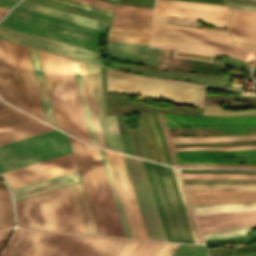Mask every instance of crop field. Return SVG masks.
Returning <instances> with one entry per match:
<instances>
[{
    "label": "crop field",
    "mask_w": 256,
    "mask_h": 256,
    "mask_svg": "<svg viewBox=\"0 0 256 256\" xmlns=\"http://www.w3.org/2000/svg\"><path fill=\"white\" fill-rule=\"evenodd\" d=\"M192 207H193L195 216L256 211V203L204 205V206H192Z\"/></svg>",
    "instance_id": "ae1a2a85"
},
{
    "label": "crop field",
    "mask_w": 256,
    "mask_h": 256,
    "mask_svg": "<svg viewBox=\"0 0 256 256\" xmlns=\"http://www.w3.org/2000/svg\"><path fill=\"white\" fill-rule=\"evenodd\" d=\"M17 7L25 8V9H28V10L36 11V12H39V13L47 14V15H50V16L58 17V18H62V19H65V20L73 21V22H76V23L84 24V25H87V26L95 27V28H98V29L106 30V31H107L108 26H109L108 23L93 20V19H90V18L75 15V14H72V13H68V12H65V11L50 8V7H47V6H43V5H40V4L25 1V0H23L21 3H19L17 5Z\"/></svg>",
    "instance_id": "00972430"
},
{
    "label": "crop field",
    "mask_w": 256,
    "mask_h": 256,
    "mask_svg": "<svg viewBox=\"0 0 256 256\" xmlns=\"http://www.w3.org/2000/svg\"><path fill=\"white\" fill-rule=\"evenodd\" d=\"M193 1H202V2H212V3L224 4L223 0H193Z\"/></svg>",
    "instance_id": "fb207236"
},
{
    "label": "crop field",
    "mask_w": 256,
    "mask_h": 256,
    "mask_svg": "<svg viewBox=\"0 0 256 256\" xmlns=\"http://www.w3.org/2000/svg\"><path fill=\"white\" fill-rule=\"evenodd\" d=\"M111 239L17 228L3 256H99Z\"/></svg>",
    "instance_id": "412701ff"
},
{
    "label": "crop field",
    "mask_w": 256,
    "mask_h": 256,
    "mask_svg": "<svg viewBox=\"0 0 256 256\" xmlns=\"http://www.w3.org/2000/svg\"><path fill=\"white\" fill-rule=\"evenodd\" d=\"M172 169H173V172H174V175H175V179H176V182H177L180 194H181V198H182V201H183L186 213H187V217H188V220H189L192 232H193V236H194L195 242L196 243H202V241H201V239H200V237H199V235L197 233V230H196V227H195L196 223L194 224L195 220L193 221V217H192V214H191V211H190V208H189V205H188V202H187L184 190H183L184 186L182 187V183H181L178 171H177V169H174V168H172Z\"/></svg>",
    "instance_id": "e1f06a70"
},
{
    "label": "crop field",
    "mask_w": 256,
    "mask_h": 256,
    "mask_svg": "<svg viewBox=\"0 0 256 256\" xmlns=\"http://www.w3.org/2000/svg\"><path fill=\"white\" fill-rule=\"evenodd\" d=\"M203 149H217V150H246V149H256V145L241 146V147H232V148L187 147V148H178V149H175V151H182V150H203Z\"/></svg>",
    "instance_id": "9d1cf04e"
},
{
    "label": "crop field",
    "mask_w": 256,
    "mask_h": 256,
    "mask_svg": "<svg viewBox=\"0 0 256 256\" xmlns=\"http://www.w3.org/2000/svg\"><path fill=\"white\" fill-rule=\"evenodd\" d=\"M112 22L148 26V27H151V24H152V20H149V19L118 16V15H114Z\"/></svg>",
    "instance_id": "73cf0c24"
},
{
    "label": "crop field",
    "mask_w": 256,
    "mask_h": 256,
    "mask_svg": "<svg viewBox=\"0 0 256 256\" xmlns=\"http://www.w3.org/2000/svg\"><path fill=\"white\" fill-rule=\"evenodd\" d=\"M192 63L201 64V65H208V66H214V67H217V65H218V64H215V63L202 62V61H196V60H193ZM195 64H192L191 66L198 67V68H203V69L214 70V71H219V72L222 71V69H220V68L207 67V66H201V65H195ZM193 67L190 68L191 71H195V72H199V73H204V74L217 75V76H220V74H221L219 72L203 70V69H198V68H193Z\"/></svg>",
    "instance_id": "89e229c0"
},
{
    "label": "crop field",
    "mask_w": 256,
    "mask_h": 256,
    "mask_svg": "<svg viewBox=\"0 0 256 256\" xmlns=\"http://www.w3.org/2000/svg\"><path fill=\"white\" fill-rule=\"evenodd\" d=\"M0 6L11 8L10 5L0 4Z\"/></svg>",
    "instance_id": "c821d689"
},
{
    "label": "crop field",
    "mask_w": 256,
    "mask_h": 256,
    "mask_svg": "<svg viewBox=\"0 0 256 256\" xmlns=\"http://www.w3.org/2000/svg\"><path fill=\"white\" fill-rule=\"evenodd\" d=\"M79 1L87 2V3H90V4L102 6V7L113 9V10L115 8L114 5H110V4L103 3V2H100V1H96V0H79Z\"/></svg>",
    "instance_id": "e1d0b9f6"
},
{
    "label": "crop field",
    "mask_w": 256,
    "mask_h": 256,
    "mask_svg": "<svg viewBox=\"0 0 256 256\" xmlns=\"http://www.w3.org/2000/svg\"><path fill=\"white\" fill-rule=\"evenodd\" d=\"M155 7L169 8V9H178V10H188V11H197V12H207V13H216V14H226V15H230L231 14V12H226V11H217V10L190 8V7H180V6H170V5H160V4H156Z\"/></svg>",
    "instance_id": "dbb93151"
},
{
    "label": "crop field",
    "mask_w": 256,
    "mask_h": 256,
    "mask_svg": "<svg viewBox=\"0 0 256 256\" xmlns=\"http://www.w3.org/2000/svg\"><path fill=\"white\" fill-rule=\"evenodd\" d=\"M123 156V155H122ZM150 239L167 241L142 161L123 156Z\"/></svg>",
    "instance_id": "28ad6ade"
},
{
    "label": "crop field",
    "mask_w": 256,
    "mask_h": 256,
    "mask_svg": "<svg viewBox=\"0 0 256 256\" xmlns=\"http://www.w3.org/2000/svg\"><path fill=\"white\" fill-rule=\"evenodd\" d=\"M71 64L91 142L123 151L115 117L105 116L99 67L75 60Z\"/></svg>",
    "instance_id": "dd49c442"
},
{
    "label": "crop field",
    "mask_w": 256,
    "mask_h": 256,
    "mask_svg": "<svg viewBox=\"0 0 256 256\" xmlns=\"http://www.w3.org/2000/svg\"><path fill=\"white\" fill-rule=\"evenodd\" d=\"M167 127H249L256 126V116L210 117L163 114Z\"/></svg>",
    "instance_id": "d9b57169"
},
{
    "label": "crop field",
    "mask_w": 256,
    "mask_h": 256,
    "mask_svg": "<svg viewBox=\"0 0 256 256\" xmlns=\"http://www.w3.org/2000/svg\"><path fill=\"white\" fill-rule=\"evenodd\" d=\"M99 152H100V155H101V158H102V161H103V165H104V168H105V171H106V174H107V177H108V180H109L112 192H113V196H114V199H115V202H116V205H117V208H118L121 220H122V224H123L126 236L127 237H131L130 233H129V230H128V227H127V224H126V221H125V218H124V215H123V212H122V209H121V206H120V203H119V200H118V197H117V194H116V190H115V187H114V184H113V181H112V178H111V175H110V172H109V169H108V166H107V163H106V160H105V157H104L102 149H99Z\"/></svg>",
    "instance_id": "b80d0937"
},
{
    "label": "crop field",
    "mask_w": 256,
    "mask_h": 256,
    "mask_svg": "<svg viewBox=\"0 0 256 256\" xmlns=\"http://www.w3.org/2000/svg\"><path fill=\"white\" fill-rule=\"evenodd\" d=\"M17 0H0V3L13 5Z\"/></svg>",
    "instance_id": "7312dd0a"
},
{
    "label": "crop field",
    "mask_w": 256,
    "mask_h": 256,
    "mask_svg": "<svg viewBox=\"0 0 256 256\" xmlns=\"http://www.w3.org/2000/svg\"><path fill=\"white\" fill-rule=\"evenodd\" d=\"M38 52L57 126L90 142L69 59Z\"/></svg>",
    "instance_id": "ac0d7876"
},
{
    "label": "crop field",
    "mask_w": 256,
    "mask_h": 256,
    "mask_svg": "<svg viewBox=\"0 0 256 256\" xmlns=\"http://www.w3.org/2000/svg\"><path fill=\"white\" fill-rule=\"evenodd\" d=\"M30 119L33 118L8 105L2 104L0 101V128L7 127Z\"/></svg>",
    "instance_id": "1d83c4d3"
},
{
    "label": "crop field",
    "mask_w": 256,
    "mask_h": 256,
    "mask_svg": "<svg viewBox=\"0 0 256 256\" xmlns=\"http://www.w3.org/2000/svg\"><path fill=\"white\" fill-rule=\"evenodd\" d=\"M155 16H174V17L202 19L215 26L224 27V28L227 27L228 20L230 17L226 15H216V14L197 13V12L178 11V10L159 9V8H155L154 17ZM183 20H190V19H183ZM192 21H196V20H192Z\"/></svg>",
    "instance_id": "eef30255"
},
{
    "label": "crop field",
    "mask_w": 256,
    "mask_h": 256,
    "mask_svg": "<svg viewBox=\"0 0 256 256\" xmlns=\"http://www.w3.org/2000/svg\"><path fill=\"white\" fill-rule=\"evenodd\" d=\"M151 28L111 24L112 41L149 44Z\"/></svg>",
    "instance_id": "4177f3b9"
},
{
    "label": "crop field",
    "mask_w": 256,
    "mask_h": 256,
    "mask_svg": "<svg viewBox=\"0 0 256 256\" xmlns=\"http://www.w3.org/2000/svg\"><path fill=\"white\" fill-rule=\"evenodd\" d=\"M228 30L234 42L256 44V29L229 27Z\"/></svg>",
    "instance_id": "5866460e"
},
{
    "label": "crop field",
    "mask_w": 256,
    "mask_h": 256,
    "mask_svg": "<svg viewBox=\"0 0 256 256\" xmlns=\"http://www.w3.org/2000/svg\"><path fill=\"white\" fill-rule=\"evenodd\" d=\"M140 114H141V113H140ZM142 114H143V117H144V120H145L147 129H148V133H149V136H150V139H151V143H152V147H153L155 159L158 160V159H157V155H156V151H155V147H154V142H153L152 134H151V132H150V130H149V127H148V124H147V120H146L145 114H144V113H142ZM142 114H141V118H142L143 125H144L145 131H146V134H147V137H148V140H149V136H148V133H147V129H146V126H145V123H144ZM149 144H150V140H149ZM150 148H151V144H150ZM151 151H152V148H151ZM152 154H153V152H152ZM153 159H154V156H153ZM155 159H154V160H155Z\"/></svg>",
    "instance_id": "db79e9e6"
},
{
    "label": "crop field",
    "mask_w": 256,
    "mask_h": 256,
    "mask_svg": "<svg viewBox=\"0 0 256 256\" xmlns=\"http://www.w3.org/2000/svg\"><path fill=\"white\" fill-rule=\"evenodd\" d=\"M255 249H256V246L242 247V248L236 249L234 253H237V252H244V251H250V250H255Z\"/></svg>",
    "instance_id": "c39391a2"
},
{
    "label": "crop field",
    "mask_w": 256,
    "mask_h": 256,
    "mask_svg": "<svg viewBox=\"0 0 256 256\" xmlns=\"http://www.w3.org/2000/svg\"><path fill=\"white\" fill-rule=\"evenodd\" d=\"M177 161H199V162H256V158L235 159L223 158L222 156H256V150L246 151H216V150H203V151H183L176 152Z\"/></svg>",
    "instance_id": "bc2a9ffb"
},
{
    "label": "crop field",
    "mask_w": 256,
    "mask_h": 256,
    "mask_svg": "<svg viewBox=\"0 0 256 256\" xmlns=\"http://www.w3.org/2000/svg\"><path fill=\"white\" fill-rule=\"evenodd\" d=\"M232 13H237V14H246V15H254L256 16V12H252V11H243V10H234L231 9Z\"/></svg>",
    "instance_id": "ae633e8c"
},
{
    "label": "crop field",
    "mask_w": 256,
    "mask_h": 256,
    "mask_svg": "<svg viewBox=\"0 0 256 256\" xmlns=\"http://www.w3.org/2000/svg\"><path fill=\"white\" fill-rule=\"evenodd\" d=\"M147 242L145 240L130 239L117 256H137Z\"/></svg>",
    "instance_id": "03da06ac"
},
{
    "label": "crop field",
    "mask_w": 256,
    "mask_h": 256,
    "mask_svg": "<svg viewBox=\"0 0 256 256\" xmlns=\"http://www.w3.org/2000/svg\"><path fill=\"white\" fill-rule=\"evenodd\" d=\"M172 256H206L204 246L181 244Z\"/></svg>",
    "instance_id": "c035e120"
},
{
    "label": "crop field",
    "mask_w": 256,
    "mask_h": 256,
    "mask_svg": "<svg viewBox=\"0 0 256 256\" xmlns=\"http://www.w3.org/2000/svg\"><path fill=\"white\" fill-rule=\"evenodd\" d=\"M69 140L100 235L126 237L98 149Z\"/></svg>",
    "instance_id": "8a807250"
},
{
    "label": "crop field",
    "mask_w": 256,
    "mask_h": 256,
    "mask_svg": "<svg viewBox=\"0 0 256 256\" xmlns=\"http://www.w3.org/2000/svg\"><path fill=\"white\" fill-rule=\"evenodd\" d=\"M255 240H256V234H254V235H252V236H250L248 238H245L243 240H240L238 242L255 241Z\"/></svg>",
    "instance_id": "c3a83c6f"
},
{
    "label": "crop field",
    "mask_w": 256,
    "mask_h": 256,
    "mask_svg": "<svg viewBox=\"0 0 256 256\" xmlns=\"http://www.w3.org/2000/svg\"><path fill=\"white\" fill-rule=\"evenodd\" d=\"M242 237H236V238H230V239H222V240L241 239ZM211 241H221V240H211ZM204 242H210V241H204Z\"/></svg>",
    "instance_id": "f0312440"
},
{
    "label": "crop field",
    "mask_w": 256,
    "mask_h": 256,
    "mask_svg": "<svg viewBox=\"0 0 256 256\" xmlns=\"http://www.w3.org/2000/svg\"><path fill=\"white\" fill-rule=\"evenodd\" d=\"M183 179H256L251 173L181 172Z\"/></svg>",
    "instance_id": "bd1437ed"
},
{
    "label": "crop field",
    "mask_w": 256,
    "mask_h": 256,
    "mask_svg": "<svg viewBox=\"0 0 256 256\" xmlns=\"http://www.w3.org/2000/svg\"><path fill=\"white\" fill-rule=\"evenodd\" d=\"M114 14L152 19L153 9L135 8L118 5Z\"/></svg>",
    "instance_id": "0bd39190"
},
{
    "label": "crop field",
    "mask_w": 256,
    "mask_h": 256,
    "mask_svg": "<svg viewBox=\"0 0 256 256\" xmlns=\"http://www.w3.org/2000/svg\"><path fill=\"white\" fill-rule=\"evenodd\" d=\"M156 3L181 5V6H191V7H200V8H209V9L229 11L227 6H221V5H211V4H201V3H191V2H181V1H171V0H157Z\"/></svg>",
    "instance_id": "425ffa30"
},
{
    "label": "crop field",
    "mask_w": 256,
    "mask_h": 256,
    "mask_svg": "<svg viewBox=\"0 0 256 256\" xmlns=\"http://www.w3.org/2000/svg\"><path fill=\"white\" fill-rule=\"evenodd\" d=\"M224 164H235V163H224Z\"/></svg>",
    "instance_id": "8de936bc"
},
{
    "label": "crop field",
    "mask_w": 256,
    "mask_h": 256,
    "mask_svg": "<svg viewBox=\"0 0 256 256\" xmlns=\"http://www.w3.org/2000/svg\"><path fill=\"white\" fill-rule=\"evenodd\" d=\"M70 190L85 233L98 235L81 183L70 185Z\"/></svg>",
    "instance_id": "730fd06b"
},
{
    "label": "crop field",
    "mask_w": 256,
    "mask_h": 256,
    "mask_svg": "<svg viewBox=\"0 0 256 256\" xmlns=\"http://www.w3.org/2000/svg\"><path fill=\"white\" fill-rule=\"evenodd\" d=\"M229 26L256 28V17L233 14Z\"/></svg>",
    "instance_id": "5d738f31"
},
{
    "label": "crop field",
    "mask_w": 256,
    "mask_h": 256,
    "mask_svg": "<svg viewBox=\"0 0 256 256\" xmlns=\"http://www.w3.org/2000/svg\"><path fill=\"white\" fill-rule=\"evenodd\" d=\"M8 8L0 7V18L8 11Z\"/></svg>",
    "instance_id": "180be81f"
},
{
    "label": "crop field",
    "mask_w": 256,
    "mask_h": 256,
    "mask_svg": "<svg viewBox=\"0 0 256 256\" xmlns=\"http://www.w3.org/2000/svg\"><path fill=\"white\" fill-rule=\"evenodd\" d=\"M58 1L65 2V3H68V4H72V5H76V6H79V7H83V8H86V9H90V10L97 11V12L104 13V14L111 15V16L113 15V12H114L113 10L101 8V7H98V6L90 5V4L75 1V0H58Z\"/></svg>",
    "instance_id": "1f2cbd36"
},
{
    "label": "crop field",
    "mask_w": 256,
    "mask_h": 256,
    "mask_svg": "<svg viewBox=\"0 0 256 256\" xmlns=\"http://www.w3.org/2000/svg\"><path fill=\"white\" fill-rule=\"evenodd\" d=\"M195 218L201 233L256 224V212Z\"/></svg>",
    "instance_id": "4a817a6b"
},
{
    "label": "crop field",
    "mask_w": 256,
    "mask_h": 256,
    "mask_svg": "<svg viewBox=\"0 0 256 256\" xmlns=\"http://www.w3.org/2000/svg\"><path fill=\"white\" fill-rule=\"evenodd\" d=\"M0 96L7 102L23 108L8 44L0 40Z\"/></svg>",
    "instance_id": "733c2abd"
},
{
    "label": "crop field",
    "mask_w": 256,
    "mask_h": 256,
    "mask_svg": "<svg viewBox=\"0 0 256 256\" xmlns=\"http://www.w3.org/2000/svg\"><path fill=\"white\" fill-rule=\"evenodd\" d=\"M129 239L113 238L100 256H116Z\"/></svg>",
    "instance_id": "d23c7cc5"
},
{
    "label": "crop field",
    "mask_w": 256,
    "mask_h": 256,
    "mask_svg": "<svg viewBox=\"0 0 256 256\" xmlns=\"http://www.w3.org/2000/svg\"><path fill=\"white\" fill-rule=\"evenodd\" d=\"M105 154L129 226L131 236L135 238L149 239L122 156L117 153H112L108 151H105Z\"/></svg>",
    "instance_id": "d1516ede"
},
{
    "label": "crop field",
    "mask_w": 256,
    "mask_h": 256,
    "mask_svg": "<svg viewBox=\"0 0 256 256\" xmlns=\"http://www.w3.org/2000/svg\"><path fill=\"white\" fill-rule=\"evenodd\" d=\"M149 45L108 41L109 53L146 57Z\"/></svg>",
    "instance_id": "750c4746"
},
{
    "label": "crop field",
    "mask_w": 256,
    "mask_h": 256,
    "mask_svg": "<svg viewBox=\"0 0 256 256\" xmlns=\"http://www.w3.org/2000/svg\"><path fill=\"white\" fill-rule=\"evenodd\" d=\"M35 1L50 4V5H53V6L61 7V8H64V9L72 10V11H75V12L83 13V14H86V15L98 17V18H101V19L109 20V21L112 18L111 16H107V15L92 12V11H89V10L81 9V8H78V7L66 5V4L55 2V1H52V0H35Z\"/></svg>",
    "instance_id": "c21b1889"
},
{
    "label": "crop field",
    "mask_w": 256,
    "mask_h": 256,
    "mask_svg": "<svg viewBox=\"0 0 256 256\" xmlns=\"http://www.w3.org/2000/svg\"><path fill=\"white\" fill-rule=\"evenodd\" d=\"M28 52H29L45 120L53 125H56L50 100H49V96H48V92H47V88H46V84H45V80H44V76H43V72H42V68H41V64H40V60H39V56H38V52L36 49H32V48H28Z\"/></svg>",
    "instance_id": "a9b5d70f"
},
{
    "label": "crop field",
    "mask_w": 256,
    "mask_h": 256,
    "mask_svg": "<svg viewBox=\"0 0 256 256\" xmlns=\"http://www.w3.org/2000/svg\"><path fill=\"white\" fill-rule=\"evenodd\" d=\"M227 5L229 6V8L256 11V6L230 4V3H227Z\"/></svg>",
    "instance_id": "0f1d7ab4"
},
{
    "label": "crop field",
    "mask_w": 256,
    "mask_h": 256,
    "mask_svg": "<svg viewBox=\"0 0 256 256\" xmlns=\"http://www.w3.org/2000/svg\"><path fill=\"white\" fill-rule=\"evenodd\" d=\"M11 232H12V229L0 231V250L2 249L4 243L7 241V239L9 238Z\"/></svg>",
    "instance_id": "78b8030e"
},
{
    "label": "crop field",
    "mask_w": 256,
    "mask_h": 256,
    "mask_svg": "<svg viewBox=\"0 0 256 256\" xmlns=\"http://www.w3.org/2000/svg\"><path fill=\"white\" fill-rule=\"evenodd\" d=\"M147 114H148V117H149V120H150V123H151L152 129H153V132H154V135H155L156 141H157V143H158V147H159V151H160V155H161L162 161H163L164 163H166V160H165V153H164L163 145H162V142H161V139H160V136H159L158 130H157V128H156V125H155L154 119H153V117H152V114H151V113H147Z\"/></svg>",
    "instance_id": "1d79db26"
},
{
    "label": "crop field",
    "mask_w": 256,
    "mask_h": 256,
    "mask_svg": "<svg viewBox=\"0 0 256 256\" xmlns=\"http://www.w3.org/2000/svg\"><path fill=\"white\" fill-rule=\"evenodd\" d=\"M0 26L97 52V36L106 31L15 7Z\"/></svg>",
    "instance_id": "e52e79f7"
},
{
    "label": "crop field",
    "mask_w": 256,
    "mask_h": 256,
    "mask_svg": "<svg viewBox=\"0 0 256 256\" xmlns=\"http://www.w3.org/2000/svg\"><path fill=\"white\" fill-rule=\"evenodd\" d=\"M175 56L195 58V59H201V60H207V61H212L214 58L210 56H203V55L189 54V53H179V52H175Z\"/></svg>",
    "instance_id": "0765c3eb"
},
{
    "label": "crop field",
    "mask_w": 256,
    "mask_h": 256,
    "mask_svg": "<svg viewBox=\"0 0 256 256\" xmlns=\"http://www.w3.org/2000/svg\"><path fill=\"white\" fill-rule=\"evenodd\" d=\"M185 184H256V180H183Z\"/></svg>",
    "instance_id": "25e5ab78"
},
{
    "label": "crop field",
    "mask_w": 256,
    "mask_h": 256,
    "mask_svg": "<svg viewBox=\"0 0 256 256\" xmlns=\"http://www.w3.org/2000/svg\"><path fill=\"white\" fill-rule=\"evenodd\" d=\"M9 48L26 111L44 120L27 48L9 43ZM45 121V120H44Z\"/></svg>",
    "instance_id": "cbeb9de0"
},
{
    "label": "crop field",
    "mask_w": 256,
    "mask_h": 256,
    "mask_svg": "<svg viewBox=\"0 0 256 256\" xmlns=\"http://www.w3.org/2000/svg\"><path fill=\"white\" fill-rule=\"evenodd\" d=\"M177 243L165 242L161 249L157 252L155 256H170L174 250L178 247Z\"/></svg>",
    "instance_id": "447ae74e"
},
{
    "label": "crop field",
    "mask_w": 256,
    "mask_h": 256,
    "mask_svg": "<svg viewBox=\"0 0 256 256\" xmlns=\"http://www.w3.org/2000/svg\"><path fill=\"white\" fill-rule=\"evenodd\" d=\"M143 164L167 240L195 243L172 169L147 161Z\"/></svg>",
    "instance_id": "5a996713"
},
{
    "label": "crop field",
    "mask_w": 256,
    "mask_h": 256,
    "mask_svg": "<svg viewBox=\"0 0 256 256\" xmlns=\"http://www.w3.org/2000/svg\"><path fill=\"white\" fill-rule=\"evenodd\" d=\"M78 181H80V179L78 172L76 171L55 178H51L45 181L13 189L12 192L15 200H17Z\"/></svg>",
    "instance_id": "92a150f3"
},
{
    "label": "crop field",
    "mask_w": 256,
    "mask_h": 256,
    "mask_svg": "<svg viewBox=\"0 0 256 256\" xmlns=\"http://www.w3.org/2000/svg\"><path fill=\"white\" fill-rule=\"evenodd\" d=\"M117 1V0H116Z\"/></svg>",
    "instance_id": "920284fa"
},
{
    "label": "crop field",
    "mask_w": 256,
    "mask_h": 256,
    "mask_svg": "<svg viewBox=\"0 0 256 256\" xmlns=\"http://www.w3.org/2000/svg\"><path fill=\"white\" fill-rule=\"evenodd\" d=\"M154 22H160V23H177V24H185V25H195V26H202L198 23H192V22H184V21H176V20H168V19H159L154 18Z\"/></svg>",
    "instance_id": "7b73153f"
},
{
    "label": "crop field",
    "mask_w": 256,
    "mask_h": 256,
    "mask_svg": "<svg viewBox=\"0 0 256 256\" xmlns=\"http://www.w3.org/2000/svg\"><path fill=\"white\" fill-rule=\"evenodd\" d=\"M230 242H234V241H228V242H215V243H206V244H219V243H230Z\"/></svg>",
    "instance_id": "819c52e7"
},
{
    "label": "crop field",
    "mask_w": 256,
    "mask_h": 256,
    "mask_svg": "<svg viewBox=\"0 0 256 256\" xmlns=\"http://www.w3.org/2000/svg\"><path fill=\"white\" fill-rule=\"evenodd\" d=\"M174 143L179 142H222L231 140H252L256 135L224 136V137H179L172 138Z\"/></svg>",
    "instance_id": "d32e631a"
},
{
    "label": "crop field",
    "mask_w": 256,
    "mask_h": 256,
    "mask_svg": "<svg viewBox=\"0 0 256 256\" xmlns=\"http://www.w3.org/2000/svg\"><path fill=\"white\" fill-rule=\"evenodd\" d=\"M0 188H3V189H5L1 183H0Z\"/></svg>",
    "instance_id": "a0ae1fb6"
},
{
    "label": "crop field",
    "mask_w": 256,
    "mask_h": 256,
    "mask_svg": "<svg viewBox=\"0 0 256 256\" xmlns=\"http://www.w3.org/2000/svg\"><path fill=\"white\" fill-rule=\"evenodd\" d=\"M15 205L18 226L84 233L68 186Z\"/></svg>",
    "instance_id": "f4fd0767"
},
{
    "label": "crop field",
    "mask_w": 256,
    "mask_h": 256,
    "mask_svg": "<svg viewBox=\"0 0 256 256\" xmlns=\"http://www.w3.org/2000/svg\"><path fill=\"white\" fill-rule=\"evenodd\" d=\"M0 199L9 200L8 194L6 190L0 189Z\"/></svg>",
    "instance_id": "c5b07064"
},
{
    "label": "crop field",
    "mask_w": 256,
    "mask_h": 256,
    "mask_svg": "<svg viewBox=\"0 0 256 256\" xmlns=\"http://www.w3.org/2000/svg\"><path fill=\"white\" fill-rule=\"evenodd\" d=\"M76 170L72 154L70 153L2 173L1 175L10 188L13 189Z\"/></svg>",
    "instance_id": "22f410ed"
},
{
    "label": "crop field",
    "mask_w": 256,
    "mask_h": 256,
    "mask_svg": "<svg viewBox=\"0 0 256 256\" xmlns=\"http://www.w3.org/2000/svg\"><path fill=\"white\" fill-rule=\"evenodd\" d=\"M13 225L11 202L0 201V229Z\"/></svg>",
    "instance_id": "b54c1fbb"
},
{
    "label": "crop field",
    "mask_w": 256,
    "mask_h": 256,
    "mask_svg": "<svg viewBox=\"0 0 256 256\" xmlns=\"http://www.w3.org/2000/svg\"><path fill=\"white\" fill-rule=\"evenodd\" d=\"M168 130H209V131H174L173 133H215V134H176V136H198V135H211V136H222V135H242V134H256V127L249 128H174Z\"/></svg>",
    "instance_id": "d3111659"
},
{
    "label": "crop field",
    "mask_w": 256,
    "mask_h": 256,
    "mask_svg": "<svg viewBox=\"0 0 256 256\" xmlns=\"http://www.w3.org/2000/svg\"><path fill=\"white\" fill-rule=\"evenodd\" d=\"M163 243L164 242L149 241L138 256H154L155 253L159 250V248L163 245Z\"/></svg>",
    "instance_id": "0fb4a251"
},
{
    "label": "crop field",
    "mask_w": 256,
    "mask_h": 256,
    "mask_svg": "<svg viewBox=\"0 0 256 256\" xmlns=\"http://www.w3.org/2000/svg\"><path fill=\"white\" fill-rule=\"evenodd\" d=\"M107 92L128 94L172 103L203 106L206 86L187 82L140 77L106 68Z\"/></svg>",
    "instance_id": "d8731c3e"
},
{
    "label": "crop field",
    "mask_w": 256,
    "mask_h": 256,
    "mask_svg": "<svg viewBox=\"0 0 256 256\" xmlns=\"http://www.w3.org/2000/svg\"><path fill=\"white\" fill-rule=\"evenodd\" d=\"M180 171L248 172V171H222V170H187V169H180ZM252 173H256V172H252Z\"/></svg>",
    "instance_id": "d14b1444"
},
{
    "label": "crop field",
    "mask_w": 256,
    "mask_h": 256,
    "mask_svg": "<svg viewBox=\"0 0 256 256\" xmlns=\"http://www.w3.org/2000/svg\"><path fill=\"white\" fill-rule=\"evenodd\" d=\"M178 166H185V165H178ZM187 167L256 168V167H226V166H187Z\"/></svg>",
    "instance_id": "ade564c9"
},
{
    "label": "crop field",
    "mask_w": 256,
    "mask_h": 256,
    "mask_svg": "<svg viewBox=\"0 0 256 256\" xmlns=\"http://www.w3.org/2000/svg\"><path fill=\"white\" fill-rule=\"evenodd\" d=\"M70 152L65 134L57 130L6 144L0 146V173Z\"/></svg>",
    "instance_id": "3316defc"
},
{
    "label": "crop field",
    "mask_w": 256,
    "mask_h": 256,
    "mask_svg": "<svg viewBox=\"0 0 256 256\" xmlns=\"http://www.w3.org/2000/svg\"><path fill=\"white\" fill-rule=\"evenodd\" d=\"M187 191L256 190V185H185Z\"/></svg>",
    "instance_id": "120bbe31"
},
{
    "label": "crop field",
    "mask_w": 256,
    "mask_h": 256,
    "mask_svg": "<svg viewBox=\"0 0 256 256\" xmlns=\"http://www.w3.org/2000/svg\"><path fill=\"white\" fill-rule=\"evenodd\" d=\"M0 38L103 66L97 53L0 27ZM104 67V66H103Z\"/></svg>",
    "instance_id": "5142ce71"
},
{
    "label": "crop field",
    "mask_w": 256,
    "mask_h": 256,
    "mask_svg": "<svg viewBox=\"0 0 256 256\" xmlns=\"http://www.w3.org/2000/svg\"><path fill=\"white\" fill-rule=\"evenodd\" d=\"M152 41L256 53V46L232 43L227 30L222 29L196 28L154 23ZM155 42H151V46L172 48L181 52L210 56H214L215 54H224L252 63L254 62L256 55L252 53Z\"/></svg>",
    "instance_id": "34b2d1b8"
},
{
    "label": "crop field",
    "mask_w": 256,
    "mask_h": 256,
    "mask_svg": "<svg viewBox=\"0 0 256 256\" xmlns=\"http://www.w3.org/2000/svg\"><path fill=\"white\" fill-rule=\"evenodd\" d=\"M54 128L34 119L0 130V145L40 134Z\"/></svg>",
    "instance_id": "dafd665d"
},
{
    "label": "crop field",
    "mask_w": 256,
    "mask_h": 256,
    "mask_svg": "<svg viewBox=\"0 0 256 256\" xmlns=\"http://www.w3.org/2000/svg\"><path fill=\"white\" fill-rule=\"evenodd\" d=\"M234 249H230L224 256H230Z\"/></svg>",
    "instance_id": "1f1604b0"
},
{
    "label": "crop field",
    "mask_w": 256,
    "mask_h": 256,
    "mask_svg": "<svg viewBox=\"0 0 256 256\" xmlns=\"http://www.w3.org/2000/svg\"><path fill=\"white\" fill-rule=\"evenodd\" d=\"M255 227H256V225L255 226H250V227H245V228H239V229L204 233V234H201V235H202L204 240L230 238V237H236V236H242V235L248 234Z\"/></svg>",
    "instance_id": "028f5c9d"
},
{
    "label": "crop field",
    "mask_w": 256,
    "mask_h": 256,
    "mask_svg": "<svg viewBox=\"0 0 256 256\" xmlns=\"http://www.w3.org/2000/svg\"><path fill=\"white\" fill-rule=\"evenodd\" d=\"M187 193L192 205L256 202V191Z\"/></svg>",
    "instance_id": "214f88e0"
}]
</instances>
